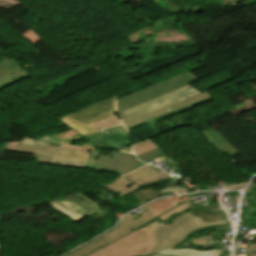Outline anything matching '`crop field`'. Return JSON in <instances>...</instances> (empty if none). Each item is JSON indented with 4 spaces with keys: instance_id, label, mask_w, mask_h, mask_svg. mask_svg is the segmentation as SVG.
Segmentation results:
<instances>
[{
    "instance_id": "22",
    "label": "crop field",
    "mask_w": 256,
    "mask_h": 256,
    "mask_svg": "<svg viewBox=\"0 0 256 256\" xmlns=\"http://www.w3.org/2000/svg\"><path fill=\"white\" fill-rule=\"evenodd\" d=\"M135 155L140 154L142 152L151 150L156 148L157 146L150 140H143L138 143L132 144Z\"/></svg>"
},
{
    "instance_id": "18",
    "label": "crop field",
    "mask_w": 256,
    "mask_h": 256,
    "mask_svg": "<svg viewBox=\"0 0 256 256\" xmlns=\"http://www.w3.org/2000/svg\"><path fill=\"white\" fill-rule=\"evenodd\" d=\"M109 243L108 241H106L104 238L99 237L91 242H89L88 244L84 245L83 247L71 252L70 254L66 255V256H85L89 253H91L92 251L102 247L103 245Z\"/></svg>"
},
{
    "instance_id": "24",
    "label": "crop field",
    "mask_w": 256,
    "mask_h": 256,
    "mask_svg": "<svg viewBox=\"0 0 256 256\" xmlns=\"http://www.w3.org/2000/svg\"><path fill=\"white\" fill-rule=\"evenodd\" d=\"M213 234H214V231L198 235V236L193 237L192 239H190V241L188 243H186L182 246H188V245L204 246V245H206L205 241L207 239H212L213 238ZM209 236H211V238H209Z\"/></svg>"
},
{
    "instance_id": "32",
    "label": "crop field",
    "mask_w": 256,
    "mask_h": 256,
    "mask_svg": "<svg viewBox=\"0 0 256 256\" xmlns=\"http://www.w3.org/2000/svg\"><path fill=\"white\" fill-rule=\"evenodd\" d=\"M253 193H255V194H256V190H255V191H253Z\"/></svg>"
},
{
    "instance_id": "13",
    "label": "crop field",
    "mask_w": 256,
    "mask_h": 256,
    "mask_svg": "<svg viewBox=\"0 0 256 256\" xmlns=\"http://www.w3.org/2000/svg\"><path fill=\"white\" fill-rule=\"evenodd\" d=\"M201 132L210 142V144L215 149H217L221 154L234 156L239 153L242 156V154L229 141H227L216 129Z\"/></svg>"
},
{
    "instance_id": "15",
    "label": "crop field",
    "mask_w": 256,
    "mask_h": 256,
    "mask_svg": "<svg viewBox=\"0 0 256 256\" xmlns=\"http://www.w3.org/2000/svg\"><path fill=\"white\" fill-rule=\"evenodd\" d=\"M226 252L227 251L225 250L199 251L196 249L181 248V249L164 250L155 254H163V255H170V256H224Z\"/></svg>"
},
{
    "instance_id": "5",
    "label": "crop field",
    "mask_w": 256,
    "mask_h": 256,
    "mask_svg": "<svg viewBox=\"0 0 256 256\" xmlns=\"http://www.w3.org/2000/svg\"><path fill=\"white\" fill-rule=\"evenodd\" d=\"M198 92L193 88L190 84H187L183 87H180L176 90H173L169 93L161 95L157 98H154L145 103L139 104L127 110L119 112V116L122 122L127 121L129 119L138 117L140 115L152 112L154 110L160 109L162 107L173 104L177 101L190 97L192 95L197 94Z\"/></svg>"
},
{
    "instance_id": "3",
    "label": "crop field",
    "mask_w": 256,
    "mask_h": 256,
    "mask_svg": "<svg viewBox=\"0 0 256 256\" xmlns=\"http://www.w3.org/2000/svg\"><path fill=\"white\" fill-rule=\"evenodd\" d=\"M153 247L151 233L141 227L87 256H131L148 252Z\"/></svg>"
},
{
    "instance_id": "7",
    "label": "crop field",
    "mask_w": 256,
    "mask_h": 256,
    "mask_svg": "<svg viewBox=\"0 0 256 256\" xmlns=\"http://www.w3.org/2000/svg\"><path fill=\"white\" fill-rule=\"evenodd\" d=\"M132 157H134L133 154L121 151L112 152L108 155H99L92 169L123 175L145 164L138 160L129 161L128 159Z\"/></svg>"
},
{
    "instance_id": "20",
    "label": "crop field",
    "mask_w": 256,
    "mask_h": 256,
    "mask_svg": "<svg viewBox=\"0 0 256 256\" xmlns=\"http://www.w3.org/2000/svg\"><path fill=\"white\" fill-rule=\"evenodd\" d=\"M119 123H121V122H120L119 117L116 113V114L108 116L104 119H101V120H99L95 123H92L88 126H90V127H109V126H115Z\"/></svg>"
},
{
    "instance_id": "1",
    "label": "crop field",
    "mask_w": 256,
    "mask_h": 256,
    "mask_svg": "<svg viewBox=\"0 0 256 256\" xmlns=\"http://www.w3.org/2000/svg\"><path fill=\"white\" fill-rule=\"evenodd\" d=\"M212 209L213 205L206 206L202 210L189 211L187 212L189 215L185 213L167 225L155 221L146 226L145 228L153 234L155 247L149 253L134 256H147L164 249L174 248L178 243L183 242L189 233L221 224V216L212 212Z\"/></svg>"
},
{
    "instance_id": "23",
    "label": "crop field",
    "mask_w": 256,
    "mask_h": 256,
    "mask_svg": "<svg viewBox=\"0 0 256 256\" xmlns=\"http://www.w3.org/2000/svg\"><path fill=\"white\" fill-rule=\"evenodd\" d=\"M164 154L165 153L162 152L159 148H156V149H153L151 151H148V152L142 153L140 155H137L136 157L139 160L148 163V162H150V161H152V160H154V159H156V158H158V157H160Z\"/></svg>"
},
{
    "instance_id": "30",
    "label": "crop field",
    "mask_w": 256,
    "mask_h": 256,
    "mask_svg": "<svg viewBox=\"0 0 256 256\" xmlns=\"http://www.w3.org/2000/svg\"><path fill=\"white\" fill-rule=\"evenodd\" d=\"M178 183H176L175 181H172V182H168L167 185H165L166 187L169 186V185H177Z\"/></svg>"
},
{
    "instance_id": "33",
    "label": "crop field",
    "mask_w": 256,
    "mask_h": 256,
    "mask_svg": "<svg viewBox=\"0 0 256 256\" xmlns=\"http://www.w3.org/2000/svg\"><path fill=\"white\" fill-rule=\"evenodd\" d=\"M254 256H256V254Z\"/></svg>"
},
{
    "instance_id": "28",
    "label": "crop field",
    "mask_w": 256,
    "mask_h": 256,
    "mask_svg": "<svg viewBox=\"0 0 256 256\" xmlns=\"http://www.w3.org/2000/svg\"><path fill=\"white\" fill-rule=\"evenodd\" d=\"M256 209L248 206V208L245 210L244 214H245V217L246 216H250L252 214L253 211H255ZM256 213V212H255Z\"/></svg>"
},
{
    "instance_id": "2",
    "label": "crop field",
    "mask_w": 256,
    "mask_h": 256,
    "mask_svg": "<svg viewBox=\"0 0 256 256\" xmlns=\"http://www.w3.org/2000/svg\"><path fill=\"white\" fill-rule=\"evenodd\" d=\"M212 98L207 92L197 94L168 107L124 122L123 125L129 129L147 122L156 135L159 136L186 125L187 122L180 113L209 102Z\"/></svg>"
},
{
    "instance_id": "8",
    "label": "crop field",
    "mask_w": 256,
    "mask_h": 256,
    "mask_svg": "<svg viewBox=\"0 0 256 256\" xmlns=\"http://www.w3.org/2000/svg\"><path fill=\"white\" fill-rule=\"evenodd\" d=\"M115 112L116 110H115V96H114L100 103H97L95 105L82 109L78 112L70 114L68 115V117L88 125L94 121H97Z\"/></svg>"
},
{
    "instance_id": "12",
    "label": "crop field",
    "mask_w": 256,
    "mask_h": 256,
    "mask_svg": "<svg viewBox=\"0 0 256 256\" xmlns=\"http://www.w3.org/2000/svg\"><path fill=\"white\" fill-rule=\"evenodd\" d=\"M89 154L90 153L88 152L74 151L62 147L51 164L66 167L83 168Z\"/></svg>"
},
{
    "instance_id": "16",
    "label": "crop field",
    "mask_w": 256,
    "mask_h": 256,
    "mask_svg": "<svg viewBox=\"0 0 256 256\" xmlns=\"http://www.w3.org/2000/svg\"><path fill=\"white\" fill-rule=\"evenodd\" d=\"M103 186H105L110 191L121 192V196H123L126 193H131L132 191L140 188L139 186L133 184L131 181H128L123 177Z\"/></svg>"
},
{
    "instance_id": "21",
    "label": "crop field",
    "mask_w": 256,
    "mask_h": 256,
    "mask_svg": "<svg viewBox=\"0 0 256 256\" xmlns=\"http://www.w3.org/2000/svg\"><path fill=\"white\" fill-rule=\"evenodd\" d=\"M194 208H195V207H194L192 201H190V202L187 201V202H185V203L179 205L178 207L174 208V209L171 210L170 212L168 211L169 213H167V214H165V215L159 217V219L163 221V220H166L167 218H169L168 216H170V215L173 214V213L182 214V213H184V212H186V211H188V210H192V209H194Z\"/></svg>"
},
{
    "instance_id": "14",
    "label": "crop field",
    "mask_w": 256,
    "mask_h": 256,
    "mask_svg": "<svg viewBox=\"0 0 256 256\" xmlns=\"http://www.w3.org/2000/svg\"><path fill=\"white\" fill-rule=\"evenodd\" d=\"M128 180H131L133 183L141 186L153 181L162 180L166 178H170L169 176L158 172L148 166H143L125 176Z\"/></svg>"
},
{
    "instance_id": "27",
    "label": "crop field",
    "mask_w": 256,
    "mask_h": 256,
    "mask_svg": "<svg viewBox=\"0 0 256 256\" xmlns=\"http://www.w3.org/2000/svg\"><path fill=\"white\" fill-rule=\"evenodd\" d=\"M245 249H246L247 251H244V253H245L247 256H251V255L255 254V253H256V243L245 247Z\"/></svg>"
},
{
    "instance_id": "11",
    "label": "crop field",
    "mask_w": 256,
    "mask_h": 256,
    "mask_svg": "<svg viewBox=\"0 0 256 256\" xmlns=\"http://www.w3.org/2000/svg\"><path fill=\"white\" fill-rule=\"evenodd\" d=\"M28 76L31 75L14 58L0 61V90Z\"/></svg>"
},
{
    "instance_id": "19",
    "label": "crop field",
    "mask_w": 256,
    "mask_h": 256,
    "mask_svg": "<svg viewBox=\"0 0 256 256\" xmlns=\"http://www.w3.org/2000/svg\"><path fill=\"white\" fill-rule=\"evenodd\" d=\"M61 120H63L66 124H68L69 126H71L73 129H75L82 137H85L87 135L99 132L98 129H94V128H90L84 125H81L79 123H76L70 119H68L67 117H62L60 118Z\"/></svg>"
},
{
    "instance_id": "9",
    "label": "crop field",
    "mask_w": 256,
    "mask_h": 256,
    "mask_svg": "<svg viewBox=\"0 0 256 256\" xmlns=\"http://www.w3.org/2000/svg\"><path fill=\"white\" fill-rule=\"evenodd\" d=\"M141 209L143 211L133 216L131 214L125 216L119 226L113 229L114 231L104 235L103 237L111 242L156 217L146 206Z\"/></svg>"
},
{
    "instance_id": "4",
    "label": "crop field",
    "mask_w": 256,
    "mask_h": 256,
    "mask_svg": "<svg viewBox=\"0 0 256 256\" xmlns=\"http://www.w3.org/2000/svg\"><path fill=\"white\" fill-rule=\"evenodd\" d=\"M190 71L117 100V112L197 80Z\"/></svg>"
},
{
    "instance_id": "29",
    "label": "crop field",
    "mask_w": 256,
    "mask_h": 256,
    "mask_svg": "<svg viewBox=\"0 0 256 256\" xmlns=\"http://www.w3.org/2000/svg\"><path fill=\"white\" fill-rule=\"evenodd\" d=\"M248 199H252L256 202V195L252 194L248 197Z\"/></svg>"
},
{
    "instance_id": "6",
    "label": "crop field",
    "mask_w": 256,
    "mask_h": 256,
    "mask_svg": "<svg viewBox=\"0 0 256 256\" xmlns=\"http://www.w3.org/2000/svg\"><path fill=\"white\" fill-rule=\"evenodd\" d=\"M50 206L76 223L98 208L79 194L51 200Z\"/></svg>"
},
{
    "instance_id": "31",
    "label": "crop field",
    "mask_w": 256,
    "mask_h": 256,
    "mask_svg": "<svg viewBox=\"0 0 256 256\" xmlns=\"http://www.w3.org/2000/svg\"><path fill=\"white\" fill-rule=\"evenodd\" d=\"M228 254V253H227ZM227 254L225 255V256H227ZM152 256H162V255H155V254H153Z\"/></svg>"
},
{
    "instance_id": "17",
    "label": "crop field",
    "mask_w": 256,
    "mask_h": 256,
    "mask_svg": "<svg viewBox=\"0 0 256 256\" xmlns=\"http://www.w3.org/2000/svg\"><path fill=\"white\" fill-rule=\"evenodd\" d=\"M178 198L171 199V197L157 200L151 204L146 205L156 216L164 213L170 208L179 204Z\"/></svg>"
},
{
    "instance_id": "25",
    "label": "crop field",
    "mask_w": 256,
    "mask_h": 256,
    "mask_svg": "<svg viewBox=\"0 0 256 256\" xmlns=\"http://www.w3.org/2000/svg\"><path fill=\"white\" fill-rule=\"evenodd\" d=\"M150 188H151V187H150ZM150 188H146V189H144V190H142V189L136 190V191L133 192V194H134L136 197H138L139 200L142 202V201H144V200H146V199H148V198H151V197H153V196H155V195H157V194L162 193V190L156 192V191H153V190L150 189Z\"/></svg>"
},
{
    "instance_id": "10",
    "label": "crop field",
    "mask_w": 256,
    "mask_h": 256,
    "mask_svg": "<svg viewBox=\"0 0 256 256\" xmlns=\"http://www.w3.org/2000/svg\"><path fill=\"white\" fill-rule=\"evenodd\" d=\"M24 153L34 154L36 162L50 164L61 147L24 139L19 144Z\"/></svg>"
},
{
    "instance_id": "26",
    "label": "crop field",
    "mask_w": 256,
    "mask_h": 256,
    "mask_svg": "<svg viewBox=\"0 0 256 256\" xmlns=\"http://www.w3.org/2000/svg\"><path fill=\"white\" fill-rule=\"evenodd\" d=\"M18 142H11V143H5V150L7 151H12V152H17V153H23L19 147H18Z\"/></svg>"
}]
</instances>
